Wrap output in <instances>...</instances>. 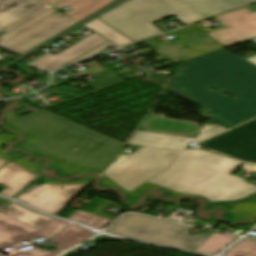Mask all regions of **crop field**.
<instances>
[{"mask_svg":"<svg viewBox=\"0 0 256 256\" xmlns=\"http://www.w3.org/2000/svg\"><path fill=\"white\" fill-rule=\"evenodd\" d=\"M166 89L202 106V116L227 128L256 116V66L223 49L183 62Z\"/></svg>","mask_w":256,"mask_h":256,"instance_id":"crop-field-1","label":"crop field"},{"mask_svg":"<svg viewBox=\"0 0 256 256\" xmlns=\"http://www.w3.org/2000/svg\"><path fill=\"white\" fill-rule=\"evenodd\" d=\"M242 162L200 149L179 152L169 168L126 195L133 205L147 188L160 187L172 197L200 195L209 202L239 200L256 192V186L230 175Z\"/></svg>","mask_w":256,"mask_h":256,"instance_id":"crop-field-2","label":"crop field"},{"mask_svg":"<svg viewBox=\"0 0 256 256\" xmlns=\"http://www.w3.org/2000/svg\"><path fill=\"white\" fill-rule=\"evenodd\" d=\"M7 121L42 137L30 145L82 167L102 170L123 146L44 109Z\"/></svg>","mask_w":256,"mask_h":256,"instance_id":"crop-field-3","label":"crop field"},{"mask_svg":"<svg viewBox=\"0 0 256 256\" xmlns=\"http://www.w3.org/2000/svg\"><path fill=\"white\" fill-rule=\"evenodd\" d=\"M256 0H129L98 17L133 41L162 33L153 22L171 16L189 24L219 13L218 7L230 10Z\"/></svg>","mask_w":256,"mask_h":256,"instance_id":"crop-field-4","label":"crop field"},{"mask_svg":"<svg viewBox=\"0 0 256 256\" xmlns=\"http://www.w3.org/2000/svg\"><path fill=\"white\" fill-rule=\"evenodd\" d=\"M132 146V145H128ZM138 151L116 161L103 172L100 186H115L126 194L170 166L178 151L132 146Z\"/></svg>","mask_w":256,"mask_h":256,"instance_id":"crop-field-5","label":"crop field"},{"mask_svg":"<svg viewBox=\"0 0 256 256\" xmlns=\"http://www.w3.org/2000/svg\"><path fill=\"white\" fill-rule=\"evenodd\" d=\"M193 227L135 214L122 216L107 232L159 245L194 251L208 236H191Z\"/></svg>","mask_w":256,"mask_h":256,"instance_id":"crop-field-6","label":"crop field"},{"mask_svg":"<svg viewBox=\"0 0 256 256\" xmlns=\"http://www.w3.org/2000/svg\"><path fill=\"white\" fill-rule=\"evenodd\" d=\"M76 23L50 8L5 35L0 48L21 55Z\"/></svg>","mask_w":256,"mask_h":256,"instance_id":"crop-field-7","label":"crop field"},{"mask_svg":"<svg viewBox=\"0 0 256 256\" xmlns=\"http://www.w3.org/2000/svg\"><path fill=\"white\" fill-rule=\"evenodd\" d=\"M66 225L68 223L52 219L41 231H37L0 213V250L18 244L22 240L30 241L36 236L49 240ZM61 252L60 250L45 251L33 248L8 256H57Z\"/></svg>","mask_w":256,"mask_h":256,"instance_id":"crop-field-8","label":"crop field"},{"mask_svg":"<svg viewBox=\"0 0 256 256\" xmlns=\"http://www.w3.org/2000/svg\"><path fill=\"white\" fill-rule=\"evenodd\" d=\"M199 145L243 161L256 163V119Z\"/></svg>","mask_w":256,"mask_h":256,"instance_id":"crop-field-9","label":"crop field"},{"mask_svg":"<svg viewBox=\"0 0 256 256\" xmlns=\"http://www.w3.org/2000/svg\"><path fill=\"white\" fill-rule=\"evenodd\" d=\"M88 185L89 184H43L40 187H32L20 195L17 199L35 209L43 210L47 213L56 215L72 198H74Z\"/></svg>","mask_w":256,"mask_h":256,"instance_id":"crop-field-10","label":"crop field"},{"mask_svg":"<svg viewBox=\"0 0 256 256\" xmlns=\"http://www.w3.org/2000/svg\"><path fill=\"white\" fill-rule=\"evenodd\" d=\"M215 19L227 28L208 35L225 47L256 37V12L252 13L244 8L216 17Z\"/></svg>","mask_w":256,"mask_h":256,"instance_id":"crop-field-11","label":"crop field"},{"mask_svg":"<svg viewBox=\"0 0 256 256\" xmlns=\"http://www.w3.org/2000/svg\"><path fill=\"white\" fill-rule=\"evenodd\" d=\"M224 130L225 129L219 126L203 125L196 139L191 137L136 131L128 144L145 145L182 151L189 142H200Z\"/></svg>","mask_w":256,"mask_h":256,"instance_id":"crop-field-12","label":"crop field"},{"mask_svg":"<svg viewBox=\"0 0 256 256\" xmlns=\"http://www.w3.org/2000/svg\"><path fill=\"white\" fill-rule=\"evenodd\" d=\"M106 41L108 40L94 33L56 55L48 53L29 65L43 71H48L62 66Z\"/></svg>","mask_w":256,"mask_h":256,"instance_id":"crop-field-13","label":"crop field"},{"mask_svg":"<svg viewBox=\"0 0 256 256\" xmlns=\"http://www.w3.org/2000/svg\"><path fill=\"white\" fill-rule=\"evenodd\" d=\"M39 0H16L0 9V32L9 30L32 14L43 9Z\"/></svg>","mask_w":256,"mask_h":256,"instance_id":"crop-field-14","label":"crop field"},{"mask_svg":"<svg viewBox=\"0 0 256 256\" xmlns=\"http://www.w3.org/2000/svg\"><path fill=\"white\" fill-rule=\"evenodd\" d=\"M3 123H4L6 128L11 129V130H16V131L24 132L26 135H28L30 137L29 139H27V140H25V141H23L21 143H18L16 145H14L13 147L18 148L20 150H23L25 152H28L30 154L36 155V156H48L50 158H53L55 160H58V161L62 162L58 167H56L54 169V170L58 171L60 173V175H75V174H79V173H83V172H87V171L102 172L104 169H106L110 164H112L115 161V159L117 158L118 154L120 153L119 152L116 155V157L113 159V161L107 167H105L102 171L95 170V169L82 168V167H80L78 165H75V164L70 163V162H68L66 160H63L61 158H58V157H56L54 155H51L49 153H46V152H44L42 150H39L37 148H34V147L28 145L29 143L39 139L40 137H38V136H36V135H34V134L30 133V132H27V131H25V130H23V129L15 126V125H12V124H10V123H8L6 121H4Z\"/></svg>","mask_w":256,"mask_h":256,"instance_id":"crop-field-15","label":"crop field"},{"mask_svg":"<svg viewBox=\"0 0 256 256\" xmlns=\"http://www.w3.org/2000/svg\"><path fill=\"white\" fill-rule=\"evenodd\" d=\"M35 177L36 175L10 162L0 170V186L3 187L0 194L12 197Z\"/></svg>","mask_w":256,"mask_h":256,"instance_id":"crop-field-16","label":"crop field"},{"mask_svg":"<svg viewBox=\"0 0 256 256\" xmlns=\"http://www.w3.org/2000/svg\"><path fill=\"white\" fill-rule=\"evenodd\" d=\"M1 213L11 218H14L24 224H27L37 230H40L46 223H48L52 219L42 215L34 214L14 203H11Z\"/></svg>","mask_w":256,"mask_h":256,"instance_id":"crop-field-17","label":"crop field"},{"mask_svg":"<svg viewBox=\"0 0 256 256\" xmlns=\"http://www.w3.org/2000/svg\"><path fill=\"white\" fill-rule=\"evenodd\" d=\"M92 232L69 225L50 242L58 244V247L66 250L76 244L85 241L88 237L92 236Z\"/></svg>","mask_w":256,"mask_h":256,"instance_id":"crop-field-18","label":"crop field"},{"mask_svg":"<svg viewBox=\"0 0 256 256\" xmlns=\"http://www.w3.org/2000/svg\"><path fill=\"white\" fill-rule=\"evenodd\" d=\"M83 26L91 29L98 35L108 39L109 41H111L119 47L133 42L98 18L90 21L89 23Z\"/></svg>","mask_w":256,"mask_h":256,"instance_id":"crop-field-19","label":"crop field"},{"mask_svg":"<svg viewBox=\"0 0 256 256\" xmlns=\"http://www.w3.org/2000/svg\"><path fill=\"white\" fill-rule=\"evenodd\" d=\"M112 1L113 0H84L82 2L70 5L75 10L65 15L79 22Z\"/></svg>","mask_w":256,"mask_h":256,"instance_id":"crop-field-20","label":"crop field"},{"mask_svg":"<svg viewBox=\"0 0 256 256\" xmlns=\"http://www.w3.org/2000/svg\"><path fill=\"white\" fill-rule=\"evenodd\" d=\"M235 237L214 232L204 243H202L195 251L215 254L222 248L234 241Z\"/></svg>","mask_w":256,"mask_h":256,"instance_id":"crop-field-21","label":"crop field"},{"mask_svg":"<svg viewBox=\"0 0 256 256\" xmlns=\"http://www.w3.org/2000/svg\"><path fill=\"white\" fill-rule=\"evenodd\" d=\"M253 216H256V203L246 202L233 207L221 218L228 222H236Z\"/></svg>","mask_w":256,"mask_h":256,"instance_id":"crop-field-22","label":"crop field"},{"mask_svg":"<svg viewBox=\"0 0 256 256\" xmlns=\"http://www.w3.org/2000/svg\"><path fill=\"white\" fill-rule=\"evenodd\" d=\"M69 220L87 224L95 228H104L108 223L111 222V220L98 217L80 210H78L73 216H71Z\"/></svg>","mask_w":256,"mask_h":256,"instance_id":"crop-field-23","label":"crop field"},{"mask_svg":"<svg viewBox=\"0 0 256 256\" xmlns=\"http://www.w3.org/2000/svg\"><path fill=\"white\" fill-rule=\"evenodd\" d=\"M224 256H256V242L243 239L226 251Z\"/></svg>","mask_w":256,"mask_h":256,"instance_id":"crop-field-24","label":"crop field"},{"mask_svg":"<svg viewBox=\"0 0 256 256\" xmlns=\"http://www.w3.org/2000/svg\"><path fill=\"white\" fill-rule=\"evenodd\" d=\"M12 162L37 174V175L44 163L42 161H36L35 163H32V162H28L26 159H23V158H17L15 160H13Z\"/></svg>","mask_w":256,"mask_h":256,"instance_id":"crop-field-25","label":"crop field"},{"mask_svg":"<svg viewBox=\"0 0 256 256\" xmlns=\"http://www.w3.org/2000/svg\"><path fill=\"white\" fill-rule=\"evenodd\" d=\"M246 200L256 201V195H254V196H252V197H250ZM238 202H240V201H238ZM238 202L213 204L211 206H208V207L204 208L203 210H208V209H211V208L228 210V209L232 208L233 206H235Z\"/></svg>","mask_w":256,"mask_h":256,"instance_id":"crop-field-26","label":"crop field"},{"mask_svg":"<svg viewBox=\"0 0 256 256\" xmlns=\"http://www.w3.org/2000/svg\"><path fill=\"white\" fill-rule=\"evenodd\" d=\"M109 45H113V46L117 47L116 45H114V44H112L111 42L108 41V42L102 44L101 46H99V47L93 49L92 51H90V52L84 54L83 56H81V57H79V58H77V59H75V60H73V61H71V62H69V63H72V62H75V61H79V60H82V59L91 57V56L97 54L98 52H100L102 49H104L105 47H107V46H109ZM69 63H67V64H69Z\"/></svg>","mask_w":256,"mask_h":256,"instance_id":"crop-field-27","label":"crop field"},{"mask_svg":"<svg viewBox=\"0 0 256 256\" xmlns=\"http://www.w3.org/2000/svg\"><path fill=\"white\" fill-rule=\"evenodd\" d=\"M94 181L93 176L85 177L81 181H73V182H55V181H46L44 183H53V184H76V183H91Z\"/></svg>","mask_w":256,"mask_h":256,"instance_id":"crop-field-28","label":"crop field"},{"mask_svg":"<svg viewBox=\"0 0 256 256\" xmlns=\"http://www.w3.org/2000/svg\"><path fill=\"white\" fill-rule=\"evenodd\" d=\"M17 138H19V137L16 136V135L0 138V147H1L2 143L11 141V140H14V139H17ZM0 157H2V158L4 159V161H5L4 164H6L7 161L9 160V157L3 155L2 152H1V150H0ZM4 164H3V165H4ZM3 165H2V166H3ZM2 166H1V167H2Z\"/></svg>","mask_w":256,"mask_h":256,"instance_id":"crop-field-29","label":"crop field"},{"mask_svg":"<svg viewBox=\"0 0 256 256\" xmlns=\"http://www.w3.org/2000/svg\"><path fill=\"white\" fill-rule=\"evenodd\" d=\"M79 1H82V0H64L60 4H58V5L54 6V7L59 9V8H62L64 6H67V5H70V4L79 2Z\"/></svg>","mask_w":256,"mask_h":256,"instance_id":"crop-field-30","label":"crop field"},{"mask_svg":"<svg viewBox=\"0 0 256 256\" xmlns=\"http://www.w3.org/2000/svg\"><path fill=\"white\" fill-rule=\"evenodd\" d=\"M14 0H0V8L13 2Z\"/></svg>","mask_w":256,"mask_h":256,"instance_id":"crop-field-31","label":"crop field"},{"mask_svg":"<svg viewBox=\"0 0 256 256\" xmlns=\"http://www.w3.org/2000/svg\"><path fill=\"white\" fill-rule=\"evenodd\" d=\"M251 40H253V41H255V42H256V38L251 39ZM248 60H250V61H252V62L256 63V56H252V57L248 58Z\"/></svg>","mask_w":256,"mask_h":256,"instance_id":"crop-field-32","label":"crop field"},{"mask_svg":"<svg viewBox=\"0 0 256 256\" xmlns=\"http://www.w3.org/2000/svg\"><path fill=\"white\" fill-rule=\"evenodd\" d=\"M46 2H48L50 5L56 3L58 0H44Z\"/></svg>","mask_w":256,"mask_h":256,"instance_id":"crop-field-33","label":"crop field"},{"mask_svg":"<svg viewBox=\"0 0 256 256\" xmlns=\"http://www.w3.org/2000/svg\"><path fill=\"white\" fill-rule=\"evenodd\" d=\"M4 163L3 159L0 158V166Z\"/></svg>","mask_w":256,"mask_h":256,"instance_id":"crop-field-34","label":"crop field"},{"mask_svg":"<svg viewBox=\"0 0 256 256\" xmlns=\"http://www.w3.org/2000/svg\"><path fill=\"white\" fill-rule=\"evenodd\" d=\"M219 9H221L222 11L228 10L226 7H221V8H219Z\"/></svg>","mask_w":256,"mask_h":256,"instance_id":"crop-field-35","label":"crop field"}]
</instances>
